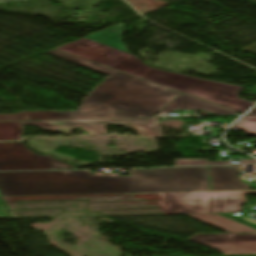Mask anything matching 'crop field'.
<instances>
[{
	"label": "crop field",
	"instance_id": "1",
	"mask_svg": "<svg viewBox=\"0 0 256 256\" xmlns=\"http://www.w3.org/2000/svg\"><path fill=\"white\" fill-rule=\"evenodd\" d=\"M88 171L0 173L2 196L209 191L207 167L130 170L129 177H87Z\"/></svg>",
	"mask_w": 256,
	"mask_h": 256
},
{
	"label": "crop field",
	"instance_id": "2",
	"mask_svg": "<svg viewBox=\"0 0 256 256\" xmlns=\"http://www.w3.org/2000/svg\"><path fill=\"white\" fill-rule=\"evenodd\" d=\"M110 75L76 111L0 115V121L154 117L180 93L52 49L44 52Z\"/></svg>",
	"mask_w": 256,
	"mask_h": 256
},
{
	"label": "crop field",
	"instance_id": "3",
	"mask_svg": "<svg viewBox=\"0 0 256 256\" xmlns=\"http://www.w3.org/2000/svg\"><path fill=\"white\" fill-rule=\"evenodd\" d=\"M124 22L55 48L174 91L243 113L253 103L238 98L241 86L151 68L123 44Z\"/></svg>",
	"mask_w": 256,
	"mask_h": 256
},
{
	"label": "crop field",
	"instance_id": "4",
	"mask_svg": "<svg viewBox=\"0 0 256 256\" xmlns=\"http://www.w3.org/2000/svg\"><path fill=\"white\" fill-rule=\"evenodd\" d=\"M228 234H195L187 241L210 247L222 254L256 253V230L217 214L185 215Z\"/></svg>",
	"mask_w": 256,
	"mask_h": 256
},
{
	"label": "crop field",
	"instance_id": "5",
	"mask_svg": "<svg viewBox=\"0 0 256 256\" xmlns=\"http://www.w3.org/2000/svg\"><path fill=\"white\" fill-rule=\"evenodd\" d=\"M165 214L241 212L244 191L161 193Z\"/></svg>",
	"mask_w": 256,
	"mask_h": 256
},
{
	"label": "crop field",
	"instance_id": "6",
	"mask_svg": "<svg viewBox=\"0 0 256 256\" xmlns=\"http://www.w3.org/2000/svg\"><path fill=\"white\" fill-rule=\"evenodd\" d=\"M69 134L77 126H82L90 134H106L104 128L110 123H129L136 129L153 137H162L157 118L61 120L21 122Z\"/></svg>",
	"mask_w": 256,
	"mask_h": 256
},
{
	"label": "crop field",
	"instance_id": "7",
	"mask_svg": "<svg viewBox=\"0 0 256 256\" xmlns=\"http://www.w3.org/2000/svg\"><path fill=\"white\" fill-rule=\"evenodd\" d=\"M75 168L51 156L38 155L22 142H0V171Z\"/></svg>",
	"mask_w": 256,
	"mask_h": 256
},
{
	"label": "crop field",
	"instance_id": "8",
	"mask_svg": "<svg viewBox=\"0 0 256 256\" xmlns=\"http://www.w3.org/2000/svg\"><path fill=\"white\" fill-rule=\"evenodd\" d=\"M212 191L247 190L248 184L242 183L236 175L237 166L210 167Z\"/></svg>",
	"mask_w": 256,
	"mask_h": 256
},
{
	"label": "crop field",
	"instance_id": "9",
	"mask_svg": "<svg viewBox=\"0 0 256 256\" xmlns=\"http://www.w3.org/2000/svg\"><path fill=\"white\" fill-rule=\"evenodd\" d=\"M175 109L205 110L215 115L236 114L235 111L219 107L183 94H181L172 103L161 110V112L168 113Z\"/></svg>",
	"mask_w": 256,
	"mask_h": 256
},
{
	"label": "crop field",
	"instance_id": "10",
	"mask_svg": "<svg viewBox=\"0 0 256 256\" xmlns=\"http://www.w3.org/2000/svg\"><path fill=\"white\" fill-rule=\"evenodd\" d=\"M21 134L20 122H0V140H19Z\"/></svg>",
	"mask_w": 256,
	"mask_h": 256
},
{
	"label": "crop field",
	"instance_id": "11",
	"mask_svg": "<svg viewBox=\"0 0 256 256\" xmlns=\"http://www.w3.org/2000/svg\"><path fill=\"white\" fill-rule=\"evenodd\" d=\"M234 126L240 128L249 135H256V116H244Z\"/></svg>",
	"mask_w": 256,
	"mask_h": 256
},
{
	"label": "crop field",
	"instance_id": "12",
	"mask_svg": "<svg viewBox=\"0 0 256 256\" xmlns=\"http://www.w3.org/2000/svg\"><path fill=\"white\" fill-rule=\"evenodd\" d=\"M256 163L255 159L240 161V164ZM230 164L229 162H207V160H176V166H192V165H221Z\"/></svg>",
	"mask_w": 256,
	"mask_h": 256
},
{
	"label": "crop field",
	"instance_id": "13",
	"mask_svg": "<svg viewBox=\"0 0 256 256\" xmlns=\"http://www.w3.org/2000/svg\"><path fill=\"white\" fill-rule=\"evenodd\" d=\"M219 215H222V216H225V217H227V218L233 219V220H235V221H238V222H240V223L246 224V225L251 226V227H253V228L256 229V225L251 224V223L246 222V221H243V220H241V219L235 218V217H233V216H231V215H229V214H219Z\"/></svg>",
	"mask_w": 256,
	"mask_h": 256
},
{
	"label": "crop field",
	"instance_id": "14",
	"mask_svg": "<svg viewBox=\"0 0 256 256\" xmlns=\"http://www.w3.org/2000/svg\"><path fill=\"white\" fill-rule=\"evenodd\" d=\"M249 114H256V107Z\"/></svg>",
	"mask_w": 256,
	"mask_h": 256
}]
</instances>
